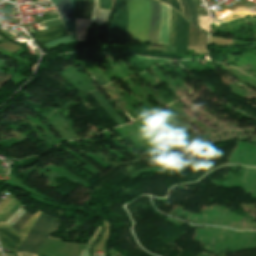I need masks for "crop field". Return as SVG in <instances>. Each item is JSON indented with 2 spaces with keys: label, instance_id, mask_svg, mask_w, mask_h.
Masks as SVG:
<instances>
[{
  "label": "crop field",
  "instance_id": "1",
  "mask_svg": "<svg viewBox=\"0 0 256 256\" xmlns=\"http://www.w3.org/2000/svg\"><path fill=\"white\" fill-rule=\"evenodd\" d=\"M129 14L127 43L156 44L160 6L153 0H126Z\"/></svg>",
  "mask_w": 256,
  "mask_h": 256
},
{
  "label": "crop field",
  "instance_id": "2",
  "mask_svg": "<svg viewBox=\"0 0 256 256\" xmlns=\"http://www.w3.org/2000/svg\"><path fill=\"white\" fill-rule=\"evenodd\" d=\"M59 221L41 213L17 251L37 253L44 240L54 232Z\"/></svg>",
  "mask_w": 256,
  "mask_h": 256
},
{
  "label": "crop field",
  "instance_id": "3",
  "mask_svg": "<svg viewBox=\"0 0 256 256\" xmlns=\"http://www.w3.org/2000/svg\"><path fill=\"white\" fill-rule=\"evenodd\" d=\"M41 212L37 211L22 227L20 231H15L10 226L3 224L0 222L2 226L9 229L10 231L14 232L15 234L11 233L4 227L0 226V240L9 246L11 249L16 250L17 247L21 244L22 240L25 238L27 232L31 229L34 221L39 216Z\"/></svg>",
  "mask_w": 256,
  "mask_h": 256
},
{
  "label": "crop field",
  "instance_id": "4",
  "mask_svg": "<svg viewBox=\"0 0 256 256\" xmlns=\"http://www.w3.org/2000/svg\"><path fill=\"white\" fill-rule=\"evenodd\" d=\"M56 6L57 11L68 31V33L75 32L74 25V5L73 0H51Z\"/></svg>",
  "mask_w": 256,
  "mask_h": 256
},
{
  "label": "crop field",
  "instance_id": "5",
  "mask_svg": "<svg viewBox=\"0 0 256 256\" xmlns=\"http://www.w3.org/2000/svg\"><path fill=\"white\" fill-rule=\"evenodd\" d=\"M67 32L63 25L52 27L40 32L33 34V37L38 40L41 44L59 38L66 35Z\"/></svg>",
  "mask_w": 256,
  "mask_h": 256
},
{
  "label": "crop field",
  "instance_id": "6",
  "mask_svg": "<svg viewBox=\"0 0 256 256\" xmlns=\"http://www.w3.org/2000/svg\"><path fill=\"white\" fill-rule=\"evenodd\" d=\"M161 5V24L159 30L158 44H167L169 23H170V7L164 3Z\"/></svg>",
  "mask_w": 256,
  "mask_h": 256
},
{
  "label": "crop field",
  "instance_id": "7",
  "mask_svg": "<svg viewBox=\"0 0 256 256\" xmlns=\"http://www.w3.org/2000/svg\"><path fill=\"white\" fill-rule=\"evenodd\" d=\"M202 32L190 24L188 30V46L206 45L208 38Z\"/></svg>",
  "mask_w": 256,
  "mask_h": 256
},
{
  "label": "crop field",
  "instance_id": "8",
  "mask_svg": "<svg viewBox=\"0 0 256 256\" xmlns=\"http://www.w3.org/2000/svg\"><path fill=\"white\" fill-rule=\"evenodd\" d=\"M93 0H74L75 17L89 19Z\"/></svg>",
  "mask_w": 256,
  "mask_h": 256
},
{
  "label": "crop field",
  "instance_id": "9",
  "mask_svg": "<svg viewBox=\"0 0 256 256\" xmlns=\"http://www.w3.org/2000/svg\"><path fill=\"white\" fill-rule=\"evenodd\" d=\"M14 196L10 193L9 196L0 204V218L3 217L17 202Z\"/></svg>",
  "mask_w": 256,
  "mask_h": 256
},
{
  "label": "crop field",
  "instance_id": "10",
  "mask_svg": "<svg viewBox=\"0 0 256 256\" xmlns=\"http://www.w3.org/2000/svg\"><path fill=\"white\" fill-rule=\"evenodd\" d=\"M75 41H77V39H76V35L74 33V34H70L65 37H62L60 39L54 40L52 42H49V43L45 44V46L50 48V47L58 45L60 43L66 44V43L75 42Z\"/></svg>",
  "mask_w": 256,
  "mask_h": 256
},
{
  "label": "crop field",
  "instance_id": "11",
  "mask_svg": "<svg viewBox=\"0 0 256 256\" xmlns=\"http://www.w3.org/2000/svg\"><path fill=\"white\" fill-rule=\"evenodd\" d=\"M102 231L101 225H99L93 235V237L88 241L87 245L85 246L81 256H88L89 255V250L91 245L94 243V241L98 238L99 234ZM101 235V234H100Z\"/></svg>",
  "mask_w": 256,
  "mask_h": 256
},
{
  "label": "crop field",
  "instance_id": "12",
  "mask_svg": "<svg viewBox=\"0 0 256 256\" xmlns=\"http://www.w3.org/2000/svg\"><path fill=\"white\" fill-rule=\"evenodd\" d=\"M0 47L6 49L8 51H11L13 53H15L16 51H18L21 48L18 45L6 40L3 37H1Z\"/></svg>",
  "mask_w": 256,
  "mask_h": 256
},
{
  "label": "crop field",
  "instance_id": "13",
  "mask_svg": "<svg viewBox=\"0 0 256 256\" xmlns=\"http://www.w3.org/2000/svg\"><path fill=\"white\" fill-rule=\"evenodd\" d=\"M185 1L188 5V9H189V13H190V22L197 25V11H196L195 4H194L193 0H185Z\"/></svg>",
  "mask_w": 256,
  "mask_h": 256
},
{
  "label": "crop field",
  "instance_id": "14",
  "mask_svg": "<svg viewBox=\"0 0 256 256\" xmlns=\"http://www.w3.org/2000/svg\"><path fill=\"white\" fill-rule=\"evenodd\" d=\"M31 216L32 214L25 212L11 227L18 231Z\"/></svg>",
  "mask_w": 256,
  "mask_h": 256
},
{
  "label": "crop field",
  "instance_id": "15",
  "mask_svg": "<svg viewBox=\"0 0 256 256\" xmlns=\"http://www.w3.org/2000/svg\"><path fill=\"white\" fill-rule=\"evenodd\" d=\"M177 18H178V12L175 11V16H174V31H173V43H172V46H175V41H176Z\"/></svg>",
  "mask_w": 256,
  "mask_h": 256
},
{
  "label": "crop field",
  "instance_id": "16",
  "mask_svg": "<svg viewBox=\"0 0 256 256\" xmlns=\"http://www.w3.org/2000/svg\"><path fill=\"white\" fill-rule=\"evenodd\" d=\"M10 75L0 72V87L9 79Z\"/></svg>",
  "mask_w": 256,
  "mask_h": 256
},
{
  "label": "crop field",
  "instance_id": "17",
  "mask_svg": "<svg viewBox=\"0 0 256 256\" xmlns=\"http://www.w3.org/2000/svg\"><path fill=\"white\" fill-rule=\"evenodd\" d=\"M182 5L183 14L189 19V13L187 11V6L184 0H179Z\"/></svg>",
  "mask_w": 256,
  "mask_h": 256
},
{
  "label": "crop field",
  "instance_id": "18",
  "mask_svg": "<svg viewBox=\"0 0 256 256\" xmlns=\"http://www.w3.org/2000/svg\"><path fill=\"white\" fill-rule=\"evenodd\" d=\"M25 211V209H22L21 210V212L19 213V215L10 223V224H8V225H12L21 215H22V213Z\"/></svg>",
  "mask_w": 256,
  "mask_h": 256
},
{
  "label": "crop field",
  "instance_id": "19",
  "mask_svg": "<svg viewBox=\"0 0 256 256\" xmlns=\"http://www.w3.org/2000/svg\"><path fill=\"white\" fill-rule=\"evenodd\" d=\"M18 256H37L29 253H17Z\"/></svg>",
  "mask_w": 256,
  "mask_h": 256
},
{
  "label": "crop field",
  "instance_id": "20",
  "mask_svg": "<svg viewBox=\"0 0 256 256\" xmlns=\"http://www.w3.org/2000/svg\"><path fill=\"white\" fill-rule=\"evenodd\" d=\"M175 2H176V5H177L178 10L181 11V6H180L179 1H178V0H175ZM181 12H182V11H181Z\"/></svg>",
  "mask_w": 256,
  "mask_h": 256
},
{
  "label": "crop field",
  "instance_id": "21",
  "mask_svg": "<svg viewBox=\"0 0 256 256\" xmlns=\"http://www.w3.org/2000/svg\"><path fill=\"white\" fill-rule=\"evenodd\" d=\"M170 3H171V6H173L174 9H176V5H175L174 1H173V0H170ZM176 10H177V9H176Z\"/></svg>",
  "mask_w": 256,
  "mask_h": 256
},
{
  "label": "crop field",
  "instance_id": "22",
  "mask_svg": "<svg viewBox=\"0 0 256 256\" xmlns=\"http://www.w3.org/2000/svg\"><path fill=\"white\" fill-rule=\"evenodd\" d=\"M161 1H163V2H165V3L170 5L169 0H161Z\"/></svg>",
  "mask_w": 256,
  "mask_h": 256
},
{
  "label": "crop field",
  "instance_id": "23",
  "mask_svg": "<svg viewBox=\"0 0 256 256\" xmlns=\"http://www.w3.org/2000/svg\"><path fill=\"white\" fill-rule=\"evenodd\" d=\"M5 256H13L12 254L5 253Z\"/></svg>",
  "mask_w": 256,
  "mask_h": 256
},
{
  "label": "crop field",
  "instance_id": "24",
  "mask_svg": "<svg viewBox=\"0 0 256 256\" xmlns=\"http://www.w3.org/2000/svg\"><path fill=\"white\" fill-rule=\"evenodd\" d=\"M0 256H1V254H0Z\"/></svg>",
  "mask_w": 256,
  "mask_h": 256
}]
</instances>
